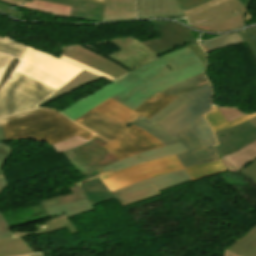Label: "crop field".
I'll return each instance as SVG.
<instances>
[{
    "label": "crop field",
    "mask_w": 256,
    "mask_h": 256,
    "mask_svg": "<svg viewBox=\"0 0 256 256\" xmlns=\"http://www.w3.org/2000/svg\"><path fill=\"white\" fill-rule=\"evenodd\" d=\"M204 68L187 46L123 74L94 94L59 112L74 121L109 98L135 110L149 97L181 80L202 73Z\"/></svg>",
    "instance_id": "obj_1"
},
{
    "label": "crop field",
    "mask_w": 256,
    "mask_h": 256,
    "mask_svg": "<svg viewBox=\"0 0 256 256\" xmlns=\"http://www.w3.org/2000/svg\"><path fill=\"white\" fill-rule=\"evenodd\" d=\"M178 97L157 94L145 101L135 111L109 99L74 122L107 141L108 143L106 142L107 144L103 147L122 160L128 156L164 146L139 128L135 126L127 128L125 125L140 115L150 119ZM95 137L96 135L93 134L91 140Z\"/></svg>",
    "instance_id": "obj_2"
},
{
    "label": "crop field",
    "mask_w": 256,
    "mask_h": 256,
    "mask_svg": "<svg viewBox=\"0 0 256 256\" xmlns=\"http://www.w3.org/2000/svg\"><path fill=\"white\" fill-rule=\"evenodd\" d=\"M61 49L64 56L114 78L159 57L134 36L71 45Z\"/></svg>",
    "instance_id": "obj_3"
},
{
    "label": "crop field",
    "mask_w": 256,
    "mask_h": 256,
    "mask_svg": "<svg viewBox=\"0 0 256 256\" xmlns=\"http://www.w3.org/2000/svg\"><path fill=\"white\" fill-rule=\"evenodd\" d=\"M75 185V184H74ZM72 194L64 195L49 200L41 201L50 217L67 212L68 216L37 225L35 232L11 233L10 227L0 213V256H15L27 253H35L20 236H29L50 233L67 228L71 233L76 229L68 218L89 211L92 206L76 184L71 187Z\"/></svg>",
    "instance_id": "obj_4"
},
{
    "label": "crop field",
    "mask_w": 256,
    "mask_h": 256,
    "mask_svg": "<svg viewBox=\"0 0 256 256\" xmlns=\"http://www.w3.org/2000/svg\"><path fill=\"white\" fill-rule=\"evenodd\" d=\"M0 126L6 140L34 139L50 145L76 135L89 140L92 135L61 114L46 108L0 120Z\"/></svg>",
    "instance_id": "obj_5"
},
{
    "label": "crop field",
    "mask_w": 256,
    "mask_h": 256,
    "mask_svg": "<svg viewBox=\"0 0 256 256\" xmlns=\"http://www.w3.org/2000/svg\"><path fill=\"white\" fill-rule=\"evenodd\" d=\"M83 69L105 79L111 81L114 80V78L108 75L68 59L62 55L60 59H58L30 47L24 54L17 67V70L57 90L65 85L67 81L75 77Z\"/></svg>",
    "instance_id": "obj_6"
},
{
    "label": "crop field",
    "mask_w": 256,
    "mask_h": 256,
    "mask_svg": "<svg viewBox=\"0 0 256 256\" xmlns=\"http://www.w3.org/2000/svg\"><path fill=\"white\" fill-rule=\"evenodd\" d=\"M214 134L215 149L229 171L238 172L256 159V116Z\"/></svg>",
    "instance_id": "obj_7"
},
{
    "label": "crop field",
    "mask_w": 256,
    "mask_h": 256,
    "mask_svg": "<svg viewBox=\"0 0 256 256\" xmlns=\"http://www.w3.org/2000/svg\"><path fill=\"white\" fill-rule=\"evenodd\" d=\"M55 91L15 70L0 91V118L35 109Z\"/></svg>",
    "instance_id": "obj_8"
},
{
    "label": "crop field",
    "mask_w": 256,
    "mask_h": 256,
    "mask_svg": "<svg viewBox=\"0 0 256 256\" xmlns=\"http://www.w3.org/2000/svg\"><path fill=\"white\" fill-rule=\"evenodd\" d=\"M245 11V7L237 0H213L184 12V15L196 29L221 32L243 27L242 17Z\"/></svg>",
    "instance_id": "obj_9"
},
{
    "label": "crop field",
    "mask_w": 256,
    "mask_h": 256,
    "mask_svg": "<svg viewBox=\"0 0 256 256\" xmlns=\"http://www.w3.org/2000/svg\"><path fill=\"white\" fill-rule=\"evenodd\" d=\"M192 181L186 170L165 174L113 191L122 206L160 195L159 192Z\"/></svg>",
    "instance_id": "obj_10"
},
{
    "label": "crop field",
    "mask_w": 256,
    "mask_h": 256,
    "mask_svg": "<svg viewBox=\"0 0 256 256\" xmlns=\"http://www.w3.org/2000/svg\"><path fill=\"white\" fill-rule=\"evenodd\" d=\"M184 169L175 156L133 166L122 171L101 177L108 188L113 191L132 183L140 182L165 173Z\"/></svg>",
    "instance_id": "obj_11"
},
{
    "label": "crop field",
    "mask_w": 256,
    "mask_h": 256,
    "mask_svg": "<svg viewBox=\"0 0 256 256\" xmlns=\"http://www.w3.org/2000/svg\"><path fill=\"white\" fill-rule=\"evenodd\" d=\"M105 141L95 138L92 141L64 152L68 161L83 175L97 170L103 166L118 161L102 146Z\"/></svg>",
    "instance_id": "obj_12"
},
{
    "label": "crop field",
    "mask_w": 256,
    "mask_h": 256,
    "mask_svg": "<svg viewBox=\"0 0 256 256\" xmlns=\"http://www.w3.org/2000/svg\"><path fill=\"white\" fill-rule=\"evenodd\" d=\"M188 97L193 99L159 124L173 136L201 115L211 110L210 85Z\"/></svg>",
    "instance_id": "obj_13"
},
{
    "label": "crop field",
    "mask_w": 256,
    "mask_h": 256,
    "mask_svg": "<svg viewBox=\"0 0 256 256\" xmlns=\"http://www.w3.org/2000/svg\"><path fill=\"white\" fill-rule=\"evenodd\" d=\"M149 23L158 33L160 39L143 41V43L158 55L175 49L173 46L178 43L184 45L195 41L191 31L181 25L168 21H149Z\"/></svg>",
    "instance_id": "obj_14"
},
{
    "label": "crop field",
    "mask_w": 256,
    "mask_h": 256,
    "mask_svg": "<svg viewBox=\"0 0 256 256\" xmlns=\"http://www.w3.org/2000/svg\"><path fill=\"white\" fill-rule=\"evenodd\" d=\"M175 137L188 151L177 155L184 167L219 159L213 146L204 149L199 140L187 127Z\"/></svg>",
    "instance_id": "obj_15"
},
{
    "label": "crop field",
    "mask_w": 256,
    "mask_h": 256,
    "mask_svg": "<svg viewBox=\"0 0 256 256\" xmlns=\"http://www.w3.org/2000/svg\"><path fill=\"white\" fill-rule=\"evenodd\" d=\"M209 85L208 80L204 76V74H199L197 76H194L190 79L184 80L172 87H169L162 91L163 94H175V95H181L174 103L166 107L164 110L159 112L157 115H155L150 120L154 121L155 123H160L162 120H164L166 117L171 115L173 112L178 110L180 107H182L184 104H186L189 100V98H186L190 93Z\"/></svg>",
    "instance_id": "obj_16"
},
{
    "label": "crop field",
    "mask_w": 256,
    "mask_h": 256,
    "mask_svg": "<svg viewBox=\"0 0 256 256\" xmlns=\"http://www.w3.org/2000/svg\"><path fill=\"white\" fill-rule=\"evenodd\" d=\"M185 151L186 150L183 148V146L180 143L169 145V146L151 150V151H147L145 153L131 156L123 161H118L116 163H113L111 165L103 167V168L97 170L100 173L99 175L85 179V180L79 182L78 184L90 181L92 179H95V178H98V177H101V176H104V175H107V174H110V173H113V172H116L119 170H122L124 168L130 167L133 165H137V164L148 162L151 160L172 156L177 153H181V152H185Z\"/></svg>",
    "instance_id": "obj_17"
},
{
    "label": "crop field",
    "mask_w": 256,
    "mask_h": 256,
    "mask_svg": "<svg viewBox=\"0 0 256 256\" xmlns=\"http://www.w3.org/2000/svg\"><path fill=\"white\" fill-rule=\"evenodd\" d=\"M136 3L137 19L183 16L176 0H136Z\"/></svg>",
    "instance_id": "obj_18"
},
{
    "label": "crop field",
    "mask_w": 256,
    "mask_h": 256,
    "mask_svg": "<svg viewBox=\"0 0 256 256\" xmlns=\"http://www.w3.org/2000/svg\"><path fill=\"white\" fill-rule=\"evenodd\" d=\"M135 18V0H105L103 21Z\"/></svg>",
    "instance_id": "obj_19"
},
{
    "label": "crop field",
    "mask_w": 256,
    "mask_h": 256,
    "mask_svg": "<svg viewBox=\"0 0 256 256\" xmlns=\"http://www.w3.org/2000/svg\"><path fill=\"white\" fill-rule=\"evenodd\" d=\"M226 249L240 256H256V225Z\"/></svg>",
    "instance_id": "obj_20"
},
{
    "label": "crop field",
    "mask_w": 256,
    "mask_h": 256,
    "mask_svg": "<svg viewBox=\"0 0 256 256\" xmlns=\"http://www.w3.org/2000/svg\"><path fill=\"white\" fill-rule=\"evenodd\" d=\"M100 79L99 77L83 70L81 73H79L74 79L69 81L64 87H62L60 90L52 94L49 98L45 99L42 104H40L37 108H40V106L50 102L51 100L58 98L62 95H65L81 86H84L86 84H89L93 81H96ZM36 108V109H37Z\"/></svg>",
    "instance_id": "obj_21"
},
{
    "label": "crop field",
    "mask_w": 256,
    "mask_h": 256,
    "mask_svg": "<svg viewBox=\"0 0 256 256\" xmlns=\"http://www.w3.org/2000/svg\"><path fill=\"white\" fill-rule=\"evenodd\" d=\"M132 124L149 132L165 146L178 142L176 138L166 132L163 128L142 116L137 118Z\"/></svg>",
    "instance_id": "obj_22"
},
{
    "label": "crop field",
    "mask_w": 256,
    "mask_h": 256,
    "mask_svg": "<svg viewBox=\"0 0 256 256\" xmlns=\"http://www.w3.org/2000/svg\"><path fill=\"white\" fill-rule=\"evenodd\" d=\"M187 127L197 136L204 148L217 144L214 134L203 116Z\"/></svg>",
    "instance_id": "obj_23"
},
{
    "label": "crop field",
    "mask_w": 256,
    "mask_h": 256,
    "mask_svg": "<svg viewBox=\"0 0 256 256\" xmlns=\"http://www.w3.org/2000/svg\"><path fill=\"white\" fill-rule=\"evenodd\" d=\"M186 170L191 175L193 180L200 179L202 177L214 175L226 171V167L222 160L200 164L196 166L187 167Z\"/></svg>",
    "instance_id": "obj_24"
},
{
    "label": "crop field",
    "mask_w": 256,
    "mask_h": 256,
    "mask_svg": "<svg viewBox=\"0 0 256 256\" xmlns=\"http://www.w3.org/2000/svg\"><path fill=\"white\" fill-rule=\"evenodd\" d=\"M24 8H29L41 12H49L59 15L68 16L70 15L71 8L70 6L55 4L51 2L34 0L33 3L26 2Z\"/></svg>",
    "instance_id": "obj_25"
},
{
    "label": "crop field",
    "mask_w": 256,
    "mask_h": 256,
    "mask_svg": "<svg viewBox=\"0 0 256 256\" xmlns=\"http://www.w3.org/2000/svg\"><path fill=\"white\" fill-rule=\"evenodd\" d=\"M256 114H252V115H246L242 118L236 119L230 123H227V121L224 119V117L219 113V111L217 110L216 107H213V110L209 113H207L205 115L206 120L208 121V123L211 125V127L213 128V131H219L222 129H226L229 128L237 123H240L244 120H247L253 116H255Z\"/></svg>",
    "instance_id": "obj_26"
},
{
    "label": "crop field",
    "mask_w": 256,
    "mask_h": 256,
    "mask_svg": "<svg viewBox=\"0 0 256 256\" xmlns=\"http://www.w3.org/2000/svg\"><path fill=\"white\" fill-rule=\"evenodd\" d=\"M239 43H243V41L240 38V36H238V34L235 33V34L225 35L218 39L206 41L204 43H201L200 45L205 50V52L208 53L209 51H212L215 49H219V48H223V47H227V46H231Z\"/></svg>",
    "instance_id": "obj_27"
},
{
    "label": "crop field",
    "mask_w": 256,
    "mask_h": 256,
    "mask_svg": "<svg viewBox=\"0 0 256 256\" xmlns=\"http://www.w3.org/2000/svg\"><path fill=\"white\" fill-rule=\"evenodd\" d=\"M104 6L81 3L76 18L89 19L100 22L103 17Z\"/></svg>",
    "instance_id": "obj_28"
},
{
    "label": "crop field",
    "mask_w": 256,
    "mask_h": 256,
    "mask_svg": "<svg viewBox=\"0 0 256 256\" xmlns=\"http://www.w3.org/2000/svg\"><path fill=\"white\" fill-rule=\"evenodd\" d=\"M27 48V46L18 44L15 41H10L8 36L4 39L0 38V51L11 54L19 59H21Z\"/></svg>",
    "instance_id": "obj_29"
},
{
    "label": "crop field",
    "mask_w": 256,
    "mask_h": 256,
    "mask_svg": "<svg viewBox=\"0 0 256 256\" xmlns=\"http://www.w3.org/2000/svg\"><path fill=\"white\" fill-rule=\"evenodd\" d=\"M80 187L87 195V197L96 195L105 191H109L107 186L102 182L100 178L92 180L90 182L80 184Z\"/></svg>",
    "instance_id": "obj_30"
},
{
    "label": "crop field",
    "mask_w": 256,
    "mask_h": 256,
    "mask_svg": "<svg viewBox=\"0 0 256 256\" xmlns=\"http://www.w3.org/2000/svg\"><path fill=\"white\" fill-rule=\"evenodd\" d=\"M244 32L245 33L239 32L238 34L241 36L243 41L247 43L248 47L250 48L256 59V27L246 29L244 30ZM251 37H254V39H251Z\"/></svg>",
    "instance_id": "obj_31"
},
{
    "label": "crop field",
    "mask_w": 256,
    "mask_h": 256,
    "mask_svg": "<svg viewBox=\"0 0 256 256\" xmlns=\"http://www.w3.org/2000/svg\"><path fill=\"white\" fill-rule=\"evenodd\" d=\"M217 108L220 111V113L226 118V120L228 122H230L236 118H239L243 115H246V114L239 112L238 110H236L234 108H221V107H217Z\"/></svg>",
    "instance_id": "obj_32"
},
{
    "label": "crop field",
    "mask_w": 256,
    "mask_h": 256,
    "mask_svg": "<svg viewBox=\"0 0 256 256\" xmlns=\"http://www.w3.org/2000/svg\"><path fill=\"white\" fill-rule=\"evenodd\" d=\"M25 1L32 2V0H25ZM46 1H51V2H55V3L73 6L72 12L70 15V17H72V18H75V15H76V12H77L80 2H84V1H77V0H46ZM86 3H90V2H86ZM94 4H99V3H94ZM101 5H104V4H101Z\"/></svg>",
    "instance_id": "obj_33"
},
{
    "label": "crop field",
    "mask_w": 256,
    "mask_h": 256,
    "mask_svg": "<svg viewBox=\"0 0 256 256\" xmlns=\"http://www.w3.org/2000/svg\"><path fill=\"white\" fill-rule=\"evenodd\" d=\"M10 7H12V6H9L3 2H0V12L5 13V14L10 15L15 18L23 19V13L20 12V10L16 9L15 7H13V9H11Z\"/></svg>",
    "instance_id": "obj_34"
},
{
    "label": "crop field",
    "mask_w": 256,
    "mask_h": 256,
    "mask_svg": "<svg viewBox=\"0 0 256 256\" xmlns=\"http://www.w3.org/2000/svg\"><path fill=\"white\" fill-rule=\"evenodd\" d=\"M178 1L181 5L182 11L184 12L186 10H189L191 8H194L196 6L204 4L211 0H178Z\"/></svg>",
    "instance_id": "obj_35"
},
{
    "label": "crop field",
    "mask_w": 256,
    "mask_h": 256,
    "mask_svg": "<svg viewBox=\"0 0 256 256\" xmlns=\"http://www.w3.org/2000/svg\"><path fill=\"white\" fill-rule=\"evenodd\" d=\"M12 150L9 146L4 143H0V174H3V170H1L4 161L8 158Z\"/></svg>",
    "instance_id": "obj_36"
},
{
    "label": "crop field",
    "mask_w": 256,
    "mask_h": 256,
    "mask_svg": "<svg viewBox=\"0 0 256 256\" xmlns=\"http://www.w3.org/2000/svg\"><path fill=\"white\" fill-rule=\"evenodd\" d=\"M238 173L248 176L256 183V160Z\"/></svg>",
    "instance_id": "obj_37"
},
{
    "label": "crop field",
    "mask_w": 256,
    "mask_h": 256,
    "mask_svg": "<svg viewBox=\"0 0 256 256\" xmlns=\"http://www.w3.org/2000/svg\"><path fill=\"white\" fill-rule=\"evenodd\" d=\"M113 194L112 192H106V193H102V194H99V195H96V196H92V197H89V201L92 203V204H96V203H99V202H102V201H105L107 199H110V198H113Z\"/></svg>",
    "instance_id": "obj_38"
},
{
    "label": "crop field",
    "mask_w": 256,
    "mask_h": 256,
    "mask_svg": "<svg viewBox=\"0 0 256 256\" xmlns=\"http://www.w3.org/2000/svg\"><path fill=\"white\" fill-rule=\"evenodd\" d=\"M18 59L14 58L12 59V61L10 62V64L8 65V67L6 68L3 78L0 82V87L5 83L6 79L9 77V75L11 74L12 70L14 69V67L17 65L18 63Z\"/></svg>",
    "instance_id": "obj_39"
},
{
    "label": "crop field",
    "mask_w": 256,
    "mask_h": 256,
    "mask_svg": "<svg viewBox=\"0 0 256 256\" xmlns=\"http://www.w3.org/2000/svg\"><path fill=\"white\" fill-rule=\"evenodd\" d=\"M192 51L198 56V58L203 62V64L205 65V53L203 52V50L200 48V46L198 45L197 42L194 43H190V45H188Z\"/></svg>",
    "instance_id": "obj_40"
},
{
    "label": "crop field",
    "mask_w": 256,
    "mask_h": 256,
    "mask_svg": "<svg viewBox=\"0 0 256 256\" xmlns=\"http://www.w3.org/2000/svg\"><path fill=\"white\" fill-rule=\"evenodd\" d=\"M11 59V56L0 53V80L2 78L3 71L5 70Z\"/></svg>",
    "instance_id": "obj_41"
},
{
    "label": "crop field",
    "mask_w": 256,
    "mask_h": 256,
    "mask_svg": "<svg viewBox=\"0 0 256 256\" xmlns=\"http://www.w3.org/2000/svg\"><path fill=\"white\" fill-rule=\"evenodd\" d=\"M0 1H3L9 5H15V6L22 7V8L25 3L24 0H0ZM84 1L104 3V0H84Z\"/></svg>",
    "instance_id": "obj_42"
},
{
    "label": "crop field",
    "mask_w": 256,
    "mask_h": 256,
    "mask_svg": "<svg viewBox=\"0 0 256 256\" xmlns=\"http://www.w3.org/2000/svg\"><path fill=\"white\" fill-rule=\"evenodd\" d=\"M6 185V179L0 178V193L5 189Z\"/></svg>",
    "instance_id": "obj_43"
},
{
    "label": "crop field",
    "mask_w": 256,
    "mask_h": 256,
    "mask_svg": "<svg viewBox=\"0 0 256 256\" xmlns=\"http://www.w3.org/2000/svg\"><path fill=\"white\" fill-rule=\"evenodd\" d=\"M248 9L252 3V0H240Z\"/></svg>",
    "instance_id": "obj_44"
},
{
    "label": "crop field",
    "mask_w": 256,
    "mask_h": 256,
    "mask_svg": "<svg viewBox=\"0 0 256 256\" xmlns=\"http://www.w3.org/2000/svg\"><path fill=\"white\" fill-rule=\"evenodd\" d=\"M225 256H238V255H236V254H234V253L225 249Z\"/></svg>",
    "instance_id": "obj_45"
},
{
    "label": "crop field",
    "mask_w": 256,
    "mask_h": 256,
    "mask_svg": "<svg viewBox=\"0 0 256 256\" xmlns=\"http://www.w3.org/2000/svg\"><path fill=\"white\" fill-rule=\"evenodd\" d=\"M4 135H3V132H2V128L0 127V141H4Z\"/></svg>",
    "instance_id": "obj_46"
},
{
    "label": "crop field",
    "mask_w": 256,
    "mask_h": 256,
    "mask_svg": "<svg viewBox=\"0 0 256 256\" xmlns=\"http://www.w3.org/2000/svg\"><path fill=\"white\" fill-rule=\"evenodd\" d=\"M97 174H99V173H97V172L95 171V172H93V173H91V174H89V175L83 177V179L88 178V177H91V176H94V175H97ZM83 179H82V180H83Z\"/></svg>",
    "instance_id": "obj_47"
},
{
    "label": "crop field",
    "mask_w": 256,
    "mask_h": 256,
    "mask_svg": "<svg viewBox=\"0 0 256 256\" xmlns=\"http://www.w3.org/2000/svg\"><path fill=\"white\" fill-rule=\"evenodd\" d=\"M29 256H44L42 253L39 254H30Z\"/></svg>",
    "instance_id": "obj_48"
},
{
    "label": "crop field",
    "mask_w": 256,
    "mask_h": 256,
    "mask_svg": "<svg viewBox=\"0 0 256 256\" xmlns=\"http://www.w3.org/2000/svg\"><path fill=\"white\" fill-rule=\"evenodd\" d=\"M28 256V255H27Z\"/></svg>",
    "instance_id": "obj_49"
}]
</instances>
